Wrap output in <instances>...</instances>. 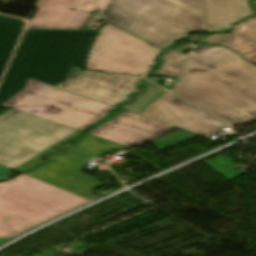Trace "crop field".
<instances>
[{
	"mask_svg": "<svg viewBox=\"0 0 256 256\" xmlns=\"http://www.w3.org/2000/svg\"><path fill=\"white\" fill-rule=\"evenodd\" d=\"M97 32L27 29L0 86V109L29 78L55 87L67 81L71 65L85 69Z\"/></svg>",
	"mask_w": 256,
	"mask_h": 256,
	"instance_id": "8a807250",
	"label": "crop field"
},
{
	"mask_svg": "<svg viewBox=\"0 0 256 256\" xmlns=\"http://www.w3.org/2000/svg\"><path fill=\"white\" fill-rule=\"evenodd\" d=\"M174 93L232 124L256 119V66L233 53L182 76Z\"/></svg>",
	"mask_w": 256,
	"mask_h": 256,
	"instance_id": "ac0d7876",
	"label": "crop field"
},
{
	"mask_svg": "<svg viewBox=\"0 0 256 256\" xmlns=\"http://www.w3.org/2000/svg\"><path fill=\"white\" fill-rule=\"evenodd\" d=\"M106 14L158 48L205 26L202 0H113Z\"/></svg>",
	"mask_w": 256,
	"mask_h": 256,
	"instance_id": "34b2d1b8",
	"label": "crop field"
},
{
	"mask_svg": "<svg viewBox=\"0 0 256 256\" xmlns=\"http://www.w3.org/2000/svg\"><path fill=\"white\" fill-rule=\"evenodd\" d=\"M19 111L82 131L115 109L29 79L24 91L4 103Z\"/></svg>",
	"mask_w": 256,
	"mask_h": 256,
	"instance_id": "412701ff",
	"label": "crop field"
},
{
	"mask_svg": "<svg viewBox=\"0 0 256 256\" xmlns=\"http://www.w3.org/2000/svg\"><path fill=\"white\" fill-rule=\"evenodd\" d=\"M89 202L23 174L0 183V212L38 224Z\"/></svg>",
	"mask_w": 256,
	"mask_h": 256,
	"instance_id": "f4fd0767",
	"label": "crop field"
},
{
	"mask_svg": "<svg viewBox=\"0 0 256 256\" xmlns=\"http://www.w3.org/2000/svg\"><path fill=\"white\" fill-rule=\"evenodd\" d=\"M75 131L13 110L0 117V165L13 169Z\"/></svg>",
	"mask_w": 256,
	"mask_h": 256,
	"instance_id": "dd49c442",
	"label": "crop field"
},
{
	"mask_svg": "<svg viewBox=\"0 0 256 256\" xmlns=\"http://www.w3.org/2000/svg\"><path fill=\"white\" fill-rule=\"evenodd\" d=\"M121 108L209 138L229 126L154 84H147L145 93Z\"/></svg>",
	"mask_w": 256,
	"mask_h": 256,
	"instance_id": "e52e79f7",
	"label": "crop field"
},
{
	"mask_svg": "<svg viewBox=\"0 0 256 256\" xmlns=\"http://www.w3.org/2000/svg\"><path fill=\"white\" fill-rule=\"evenodd\" d=\"M158 50L106 24L96 39L86 70L142 75Z\"/></svg>",
	"mask_w": 256,
	"mask_h": 256,
	"instance_id": "d8731c3e",
	"label": "crop field"
},
{
	"mask_svg": "<svg viewBox=\"0 0 256 256\" xmlns=\"http://www.w3.org/2000/svg\"><path fill=\"white\" fill-rule=\"evenodd\" d=\"M44 158L48 162L24 174L78 196L104 185L97 182V178L79 172L86 165L85 162L97 157L70 149L67 152L57 151Z\"/></svg>",
	"mask_w": 256,
	"mask_h": 256,
	"instance_id": "5a996713",
	"label": "crop field"
},
{
	"mask_svg": "<svg viewBox=\"0 0 256 256\" xmlns=\"http://www.w3.org/2000/svg\"><path fill=\"white\" fill-rule=\"evenodd\" d=\"M172 127L125 111L114 116L113 120L107 121L88 132V134L126 147H132L146 144Z\"/></svg>",
	"mask_w": 256,
	"mask_h": 256,
	"instance_id": "3316defc",
	"label": "crop field"
},
{
	"mask_svg": "<svg viewBox=\"0 0 256 256\" xmlns=\"http://www.w3.org/2000/svg\"><path fill=\"white\" fill-rule=\"evenodd\" d=\"M140 78L84 72L56 88L115 106L135 90L133 85Z\"/></svg>",
	"mask_w": 256,
	"mask_h": 256,
	"instance_id": "28ad6ade",
	"label": "crop field"
},
{
	"mask_svg": "<svg viewBox=\"0 0 256 256\" xmlns=\"http://www.w3.org/2000/svg\"><path fill=\"white\" fill-rule=\"evenodd\" d=\"M77 0H39L27 27L81 28L91 13L71 11Z\"/></svg>",
	"mask_w": 256,
	"mask_h": 256,
	"instance_id": "d1516ede",
	"label": "crop field"
},
{
	"mask_svg": "<svg viewBox=\"0 0 256 256\" xmlns=\"http://www.w3.org/2000/svg\"><path fill=\"white\" fill-rule=\"evenodd\" d=\"M206 31L222 29L246 15L252 14L247 0H203Z\"/></svg>",
	"mask_w": 256,
	"mask_h": 256,
	"instance_id": "22f410ed",
	"label": "crop field"
},
{
	"mask_svg": "<svg viewBox=\"0 0 256 256\" xmlns=\"http://www.w3.org/2000/svg\"><path fill=\"white\" fill-rule=\"evenodd\" d=\"M24 26L19 19L0 16V77Z\"/></svg>",
	"mask_w": 256,
	"mask_h": 256,
	"instance_id": "cbeb9de0",
	"label": "crop field"
},
{
	"mask_svg": "<svg viewBox=\"0 0 256 256\" xmlns=\"http://www.w3.org/2000/svg\"><path fill=\"white\" fill-rule=\"evenodd\" d=\"M206 43L217 42L237 50L246 60L256 63V45L230 34H212L207 36Z\"/></svg>",
	"mask_w": 256,
	"mask_h": 256,
	"instance_id": "5142ce71",
	"label": "crop field"
},
{
	"mask_svg": "<svg viewBox=\"0 0 256 256\" xmlns=\"http://www.w3.org/2000/svg\"><path fill=\"white\" fill-rule=\"evenodd\" d=\"M75 144L71 147L74 149H78L93 155H101L106 152H110L112 150H119V149H125L126 147L108 142L106 140L88 135L84 133V135L75 140L72 141Z\"/></svg>",
	"mask_w": 256,
	"mask_h": 256,
	"instance_id": "d9b57169",
	"label": "crop field"
},
{
	"mask_svg": "<svg viewBox=\"0 0 256 256\" xmlns=\"http://www.w3.org/2000/svg\"><path fill=\"white\" fill-rule=\"evenodd\" d=\"M34 225L22 218L0 213V237H12Z\"/></svg>",
	"mask_w": 256,
	"mask_h": 256,
	"instance_id": "733c2abd",
	"label": "crop field"
},
{
	"mask_svg": "<svg viewBox=\"0 0 256 256\" xmlns=\"http://www.w3.org/2000/svg\"><path fill=\"white\" fill-rule=\"evenodd\" d=\"M186 55L187 53L183 55L175 50L169 52L168 54L162 56V59H164L165 61L162 64L160 70L153 73L177 78Z\"/></svg>",
	"mask_w": 256,
	"mask_h": 256,
	"instance_id": "4a817a6b",
	"label": "crop field"
},
{
	"mask_svg": "<svg viewBox=\"0 0 256 256\" xmlns=\"http://www.w3.org/2000/svg\"><path fill=\"white\" fill-rule=\"evenodd\" d=\"M203 162L229 181L242 175L238 171L233 169L232 167L235 165L232 164L229 160H227L222 155L203 161Z\"/></svg>",
	"mask_w": 256,
	"mask_h": 256,
	"instance_id": "bc2a9ffb",
	"label": "crop field"
},
{
	"mask_svg": "<svg viewBox=\"0 0 256 256\" xmlns=\"http://www.w3.org/2000/svg\"><path fill=\"white\" fill-rule=\"evenodd\" d=\"M208 46H209L208 49H206V50H204V51H202V52H200V53H198L194 56L212 64V63L218 61L219 59H221V58H223V57H225V56L234 52V51L228 50L227 48H225L224 46H222L220 44L208 45ZM210 64H208V65H210ZM200 65H202V64H200ZM208 65H206V66H208ZM202 66H204V65H202Z\"/></svg>",
	"mask_w": 256,
	"mask_h": 256,
	"instance_id": "214f88e0",
	"label": "crop field"
},
{
	"mask_svg": "<svg viewBox=\"0 0 256 256\" xmlns=\"http://www.w3.org/2000/svg\"><path fill=\"white\" fill-rule=\"evenodd\" d=\"M198 136L195 133H192L190 131L184 130L182 132H179L177 134H174L172 136L166 137L164 139H161L159 141L154 142V144L158 147V149L161 151L163 149H166L168 147H171L173 145L179 144L181 142H184L186 140H189L193 137Z\"/></svg>",
	"mask_w": 256,
	"mask_h": 256,
	"instance_id": "92a150f3",
	"label": "crop field"
},
{
	"mask_svg": "<svg viewBox=\"0 0 256 256\" xmlns=\"http://www.w3.org/2000/svg\"><path fill=\"white\" fill-rule=\"evenodd\" d=\"M82 132H75L73 134H71L70 136L66 137L65 139L61 140L60 142L56 143L55 145L51 146L50 148H48L47 150L43 151L42 153H40L39 155L35 156L34 158L30 159L29 161L25 162L24 164L18 166L17 168H15L14 170L18 171V172H21V171H25V170H28L40 163H42L41 159H40V156L43 155V154H46V153H49L51 151H53L54 147L57 146L58 144L68 140V139H71V138H75L77 136H79ZM69 141V140H68ZM31 170V169H30Z\"/></svg>",
	"mask_w": 256,
	"mask_h": 256,
	"instance_id": "dafd665d",
	"label": "crop field"
},
{
	"mask_svg": "<svg viewBox=\"0 0 256 256\" xmlns=\"http://www.w3.org/2000/svg\"><path fill=\"white\" fill-rule=\"evenodd\" d=\"M110 0H80L75 10L102 11L104 12Z\"/></svg>",
	"mask_w": 256,
	"mask_h": 256,
	"instance_id": "00972430",
	"label": "crop field"
},
{
	"mask_svg": "<svg viewBox=\"0 0 256 256\" xmlns=\"http://www.w3.org/2000/svg\"><path fill=\"white\" fill-rule=\"evenodd\" d=\"M233 34L256 44V23Z\"/></svg>",
	"mask_w": 256,
	"mask_h": 256,
	"instance_id": "a9b5d70f",
	"label": "crop field"
},
{
	"mask_svg": "<svg viewBox=\"0 0 256 256\" xmlns=\"http://www.w3.org/2000/svg\"><path fill=\"white\" fill-rule=\"evenodd\" d=\"M10 169L0 166V180H6Z\"/></svg>",
	"mask_w": 256,
	"mask_h": 256,
	"instance_id": "4177f3b9",
	"label": "crop field"
},
{
	"mask_svg": "<svg viewBox=\"0 0 256 256\" xmlns=\"http://www.w3.org/2000/svg\"><path fill=\"white\" fill-rule=\"evenodd\" d=\"M254 22H256V19L248 20V21H246V22H244V23H241V24H239V25H236V30H235V31H237V30H239V29H242V28H244V27H246V26H248V25H250V24H252V23H254ZM235 31H234V32H235Z\"/></svg>",
	"mask_w": 256,
	"mask_h": 256,
	"instance_id": "730fd06b",
	"label": "crop field"
},
{
	"mask_svg": "<svg viewBox=\"0 0 256 256\" xmlns=\"http://www.w3.org/2000/svg\"><path fill=\"white\" fill-rule=\"evenodd\" d=\"M7 240H9V239H1L0 240V245L3 244L4 242H6Z\"/></svg>",
	"mask_w": 256,
	"mask_h": 256,
	"instance_id": "eef30255",
	"label": "crop field"
}]
</instances>
